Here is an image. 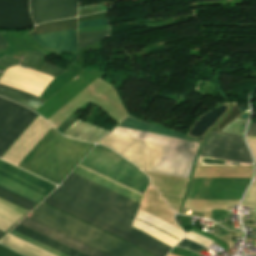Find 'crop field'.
I'll use <instances>...</instances> for the list:
<instances>
[{
    "label": "crop field",
    "instance_id": "6",
    "mask_svg": "<svg viewBox=\"0 0 256 256\" xmlns=\"http://www.w3.org/2000/svg\"><path fill=\"white\" fill-rule=\"evenodd\" d=\"M37 116L6 99H0V157Z\"/></svg>",
    "mask_w": 256,
    "mask_h": 256
},
{
    "label": "crop field",
    "instance_id": "1",
    "mask_svg": "<svg viewBox=\"0 0 256 256\" xmlns=\"http://www.w3.org/2000/svg\"><path fill=\"white\" fill-rule=\"evenodd\" d=\"M44 202L154 256H165L172 248L130 227L138 203L73 173Z\"/></svg>",
    "mask_w": 256,
    "mask_h": 256
},
{
    "label": "crop field",
    "instance_id": "23",
    "mask_svg": "<svg viewBox=\"0 0 256 256\" xmlns=\"http://www.w3.org/2000/svg\"><path fill=\"white\" fill-rule=\"evenodd\" d=\"M246 123V121L236 119L226 126L223 131L243 136Z\"/></svg>",
    "mask_w": 256,
    "mask_h": 256
},
{
    "label": "crop field",
    "instance_id": "13",
    "mask_svg": "<svg viewBox=\"0 0 256 256\" xmlns=\"http://www.w3.org/2000/svg\"><path fill=\"white\" fill-rule=\"evenodd\" d=\"M0 174L43 195H46L54 187V185L2 161H0Z\"/></svg>",
    "mask_w": 256,
    "mask_h": 256
},
{
    "label": "crop field",
    "instance_id": "18",
    "mask_svg": "<svg viewBox=\"0 0 256 256\" xmlns=\"http://www.w3.org/2000/svg\"><path fill=\"white\" fill-rule=\"evenodd\" d=\"M42 56H43V53L28 51L27 54L25 55L23 61H21V60H18L16 58L6 55V56L0 58V65L9 67V66L21 64V65H24V66L34 69L40 62Z\"/></svg>",
    "mask_w": 256,
    "mask_h": 256
},
{
    "label": "crop field",
    "instance_id": "11",
    "mask_svg": "<svg viewBox=\"0 0 256 256\" xmlns=\"http://www.w3.org/2000/svg\"><path fill=\"white\" fill-rule=\"evenodd\" d=\"M20 224L28 227V228H31L37 232H40L48 237H51L69 247H72L78 251H81L87 255H90V256H109L101 251H98L88 245H85L73 238H70L58 231H55L45 225H42L28 217H26L24 220H22L20 222Z\"/></svg>",
    "mask_w": 256,
    "mask_h": 256
},
{
    "label": "crop field",
    "instance_id": "12",
    "mask_svg": "<svg viewBox=\"0 0 256 256\" xmlns=\"http://www.w3.org/2000/svg\"><path fill=\"white\" fill-rule=\"evenodd\" d=\"M80 164L85 166V167H87V168H89V169H91V170H93V171H96V172H98V173H100V174H102V175H104V176H106V177H108L110 179H113V180H115V181H117V182H119V183H121V184H123V185H125V186H127V187H129V188H131V189L141 193V194H143V191H141V190H139V189H137L135 187H132V186H130V185H128V184H126V183H124L122 181H119V180H117V179H115V178H113L111 176H108V175H106V174H104V173H102V172H100V171H98V170H96V169H94V168H92V167L82 163V162H80ZM81 165H79V166H81ZM79 166H77L75 168L73 173H75V174H77V175H79L81 177H84V178H86V179H88V180H90L92 182H95V183H97V184H99V185H101L103 187H106V188H108V189H110V190H112V191H114L116 193H119V194H121V195H123V196H125L127 198H130V199H132V200H134V201H136L138 203L140 202V199H141L142 196L136 194L137 192L136 193H134L135 191L131 192V191H129V190H127V189H125V188H123V187H121V186H119V185H117V184H115V183H113V182H111V181L101 177L102 175L99 176L100 174L97 175L98 173L97 174L92 173L93 171L90 172L91 170L88 171L89 169L85 170L87 168L81 166V167L85 168V169H83V168H81Z\"/></svg>",
    "mask_w": 256,
    "mask_h": 256
},
{
    "label": "crop field",
    "instance_id": "33",
    "mask_svg": "<svg viewBox=\"0 0 256 256\" xmlns=\"http://www.w3.org/2000/svg\"><path fill=\"white\" fill-rule=\"evenodd\" d=\"M7 45L8 44L3 40L2 36L0 35V49H5Z\"/></svg>",
    "mask_w": 256,
    "mask_h": 256
},
{
    "label": "crop field",
    "instance_id": "10",
    "mask_svg": "<svg viewBox=\"0 0 256 256\" xmlns=\"http://www.w3.org/2000/svg\"><path fill=\"white\" fill-rule=\"evenodd\" d=\"M50 127L51 126L39 116L6 152L2 159L17 166Z\"/></svg>",
    "mask_w": 256,
    "mask_h": 256
},
{
    "label": "crop field",
    "instance_id": "30",
    "mask_svg": "<svg viewBox=\"0 0 256 256\" xmlns=\"http://www.w3.org/2000/svg\"><path fill=\"white\" fill-rule=\"evenodd\" d=\"M0 256H21L0 245Z\"/></svg>",
    "mask_w": 256,
    "mask_h": 256
},
{
    "label": "crop field",
    "instance_id": "5",
    "mask_svg": "<svg viewBox=\"0 0 256 256\" xmlns=\"http://www.w3.org/2000/svg\"><path fill=\"white\" fill-rule=\"evenodd\" d=\"M82 162L114 176L141 190H145L148 178L118 157L116 154L96 145Z\"/></svg>",
    "mask_w": 256,
    "mask_h": 256
},
{
    "label": "crop field",
    "instance_id": "17",
    "mask_svg": "<svg viewBox=\"0 0 256 256\" xmlns=\"http://www.w3.org/2000/svg\"><path fill=\"white\" fill-rule=\"evenodd\" d=\"M0 242L28 256H54L9 234H7Z\"/></svg>",
    "mask_w": 256,
    "mask_h": 256
},
{
    "label": "crop field",
    "instance_id": "31",
    "mask_svg": "<svg viewBox=\"0 0 256 256\" xmlns=\"http://www.w3.org/2000/svg\"><path fill=\"white\" fill-rule=\"evenodd\" d=\"M248 142L252 149L255 161H256V137L247 136Z\"/></svg>",
    "mask_w": 256,
    "mask_h": 256
},
{
    "label": "crop field",
    "instance_id": "7",
    "mask_svg": "<svg viewBox=\"0 0 256 256\" xmlns=\"http://www.w3.org/2000/svg\"><path fill=\"white\" fill-rule=\"evenodd\" d=\"M77 18L40 24L30 35L76 28ZM40 46L54 51L77 52L76 29L31 36Z\"/></svg>",
    "mask_w": 256,
    "mask_h": 256
},
{
    "label": "crop field",
    "instance_id": "22",
    "mask_svg": "<svg viewBox=\"0 0 256 256\" xmlns=\"http://www.w3.org/2000/svg\"><path fill=\"white\" fill-rule=\"evenodd\" d=\"M9 234H11V235H13V236H15V237H17L19 239H22V240H24V241H26V242H28V243H30L32 245H35V246H37V247H39V248H41L43 250H46V251H48V252H50V253H52V254H54L56 256H67V255H65V254H63L61 252H58L56 250H53V249H51V248H49V247H47V246H45V245H43V244H41L39 242H37V241L27 237V236H24V235L14 231V230L9 232Z\"/></svg>",
    "mask_w": 256,
    "mask_h": 256
},
{
    "label": "crop field",
    "instance_id": "27",
    "mask_svg": "<svg viewBox=\"0 0 256 256\" xmlns=\"http://www.w3.org/2000/svg\"><path fill=\"white\" fill-rule=\"evenodd\" d=\"M105 24H108L107 19L97 20V21H89V22H82V23H79L78 28L89 27V26H97V25H105Z\"/></svg>",
    "mask_w": 256,
    "mask_h": 256
},
{
    "label": "crop field",
    "instance_id": "29",
    "mask_svg": "<svg viewBox=\"0 0 256 256\" xmlns=\"http://www.w3.org/2000/svg\"><path fill=\"white\" fill-rule=\"evenodd\" d=\"M14 223L0 217V230L6 232L9 228H11Z\"/></svg>",
    "mask_w": 256,
    "mask_h": 256
},
{
    "label": "crop field",
    "instance_id": "28",
    "mask_svg": "<svg viewBox=\"0 0 256 256\" xmlns=\"http://www.w3.org/2000/svg\"><path fill=\"white\" fill-rule=\"evenodd\" d=\"M103 18H106V13L105 12H101V13H97V14H93V15H89V16L80 17L79 18V22L89 21V20H96V19H103Z\"/></svg>",
    "mask_w": 256,
    "mask_h": 256
},
{
    "label": "crop field",
    "instance_id": "34",
    "mask_svg": "<svg viewBox=\"0 0 256 256\" xmlns=\"http://www.w3.org/2000/svg\"><path fill=\"white\" fill-rule=\"evenodd\" d=\"M247 237H253V238H256V236H252V235H247Z\"/></svg>",
    "mask_w": 256,
    "mask_h": 256
},
{
    "label": "crop field",
    "instance_id": "19",
    "mask_svg": "<svg viewBox=\"0 0 256 256\" xmlns=\"http://www.w3.org/2000/svg\"><path fill=\"white\" fill-rule=\"evenodd\" d=\"M0 186L16 193L19 194L35 203H37L43 196L21 186L18 185L2 176H0Z\"/></svg>",
    "mask_w": 256,
    "mask_h": 256
},
{
    "label": "crop field",
    "instance_id": "24",
    "mask_svg": "<svg viewBox=\"0 0 256 256\" xmlns=\"http://www.w3.org/2000/svg\"><path fill=\"white\" fill-rule=\"evenodd\" d=\"M242 206L256 207V180L252 183Z\"/></svg>",
    "mask_w": 256,
    "mask_h": 256
},
{
    "label": "crop field",
    "instance_id": "26",
    "mask_svg": "<svg viewBox=\"0 0 256 256\" xmlns=\"http://www.w3.org/2000/svg\"><path fill=\"white\" fill-rule=\"evenodd\" d=\"M177 245L181 246V247H184V248H187L189 250L195 251V252H197V251L201 250L202 248H204V247H202V246H200V245H198V244H196L194 242H191L189 240H186V239H183Z\"/></svg>",
    "mask_w": 256,
    "mask_h": 256
},
{
    "label": "crop field",
    "instance_id": "21",
    "mask_svg": "<svg viewBox=\"0 0 256 256\" xmlns=\"http://www.w3.org/2000/svg\"><path fill=\"white\" fill-rule=\"evenodd\" d=\"M0 197L4 198L12 203H15L27 210H29L31 207H33L35 205V203H33L23 197H20L8 190H5L1 187H0Z\"/></svg>",
    "mask_w": 256,
    "mask_h": 256
},
{
    "label": "crop field",
    "instance_id": "8",
    "mask_svg": "<svg viewBox=\"0 0 256 256\" xmlns=\"http://www.w3.org/2000/svg\"><path fill=\"white\" fill-rule=\"evenodd\" d=\"M214 137L245 144L243 137L211 130L203 143L200 155H203ZM217 138H214L204 155L233 161L252 163L250 153L246 145Z\"/></svg>",
    "mask_w": 256,
    "mask_h": 256
},
{
    "label": "crop field",
    "instance_id": "35",
    "mask_svg": "<svg viewBox=\"0 0 256 256\" xmlns=\"http://www.w3.org/2000/svg\"><path fill=\"white\" fill-rule=\"evenodd\" d=\"M3 235V233L0 232V237Z\"/></svg>",
    "mask_w": 256,
    "mask_h": 256
},
{
    "label": "crop field",
    "instance_id": "20",
    "mask_svg": "<svg viewBox=\"0 0 256 256\" xmlns=\"http://www.w3.org/2000/svg\"><path fill=\"white\" fill-rule=\"evenodd\" d=\"M79 48L110 37L109 30L78 33Z\"/></svg>",
    "mask_w": 256,
    "mask_h": 256
},
{
    "label": "crop field",
    "instance_id": "15",
    "mask_svg": "<svg viewBox=\"0 0 256 256\" xmlns=\"http://www.w3.org/2000/svg\"><path fill=\"white\" fill-rule=\"evenodd\" d=\"M14 230H16V231H18V232H20V233H22L24 235H27V236H29V237L37 240V241H40V242H42V243H44V244H46V245H48V246L58 250V251L66 253V254H68L70 256H86V255H84V254H82V253H80L78 251H75V250H73V249H71V248H69V247H67V246H65L63 244H60V243H58V242H56V241H54V240H52L50 238H47V237H45V236H43V235H41V234H39V233H37L35 231H32V230H30V229H28V228H26V227H24V226H22L20 224H18L14 228Z\"/></svg>",
    "mask_w": 256,
    "mask_h": 256
},
{
    "label": "crop field",
    "instance_id": "2",
    "mask_svg": "<svg viewBox=\"0 0 256 256\" xmlns=\"http://www.w3.org/2000/svg\"><path fill=\"white\" fill-rule=\"evenodd\" d=\"M119 126L198 143L197 145L120 127H117L100 142L137 165L141 170L184 178L187 177L197 145L187 178L190 177L200 145L198 140L195 141L166 129L151 126L132 117H128Z\"/></svg>",
    "mask_w": 256,
    "mask_h": 256
},
{
    "label": "crop field",
    "instance_id": "25",
    "mask_svg": "<svg viewBox=\"0 0 256 256\" xmlns=\"http://www.w3.org/2000/svg\"><path fill=\"white\" fill-rule=\"evenodd\" d=\"M66 70H63L55 65L49 64V63H45L42 67V69L40 70V72L46 73L48 75L51 76H58L61 73L65 72Z\"/></svg>",
    "mask_w": 256,
    "mask_h": 256
},
{
    "label": "crop field",
    "instance_id": "14",
    "mask_svg": "<svg viewBox=\"0 0 256 256\" xmlns=\"http://www.w3.org/2000/svg\"><path fill=\"white\" fill-rule=\"evenodd\" d=\"M107 133L108 131L78 120L67 131H65L63 135L74 139L97 142Z\"/></svg>",
    "mask_w": 256,
    "mask_h": 256
},
{
    "label": "crop field",
    "instance_id": "4",
    "mask_svg": "<svg viewBox=\"0 0 256 256\" xmlns=\"http://www.w3.org/2000/svg\"><path fill=\"white\" fill-rule=\"evenodd\" d=\"M32 213L34 214L30 218L111 256H150L43 203Z\"/></svg>",
    "mask_w": 256,
    "mask_h": 256
},
{
    "label": "crop field",
    "instance_id": "3",
    "mask_svg": "<svg viewBox=\"0 0 256 256\" xmlns=\"http://www.w3.org/2000/svg\"><path fill=\"white\" fill-rule=\"evenodd\" d=\"M91 145L65 138L51 127L18 167L57 184Z\"/></svg>",
    "mask_w": 256,
    "mask_h": 256
},
{
    "label": "crop field",
    "instance_id": "32",
    "mask_svg": "<svg viewBox=\"0 0 256 256\" xmlns=\"http://www.w3.org/2000/svg\"><path fill=\"white\" fill-rule=\"evenodd\" d=\"M247 135H256V124L250 123Z\"/></svg>",
    "mask_w": 256,
    "mask_h": 256
},
{
    "label": "crop field",
    "instance_id": "16",
    "mask_svg": "<svg viewBox=\"0 0 256 256\" xmlns=\"http://www.w3.org/2000/svg\"><path fill=\"white\" fill-rule=\"evenodd\" d=\"M0 96L20 102L30 107L34 111L44 103V101L38 99L39 97L37 98L33 95L9 88L1 84H0Z\"/></svg>",
    "mask_w": 256,
    "mask_h": 256
},
{
    "label": "crop field",
    "instance_id": "9",
    "mask_svg": "<svg viewBox=\"0 0 256 256\" xmlns=\"http://www.w3.org/2000/svg\"><path fill=\"white\" fill-rule=\"evenodd\" d=\"M79 0H30L34 23L76 16Z\"/></svg>",
    "mask_w": 256,
    "mask_h": 256
}]
</instances>
